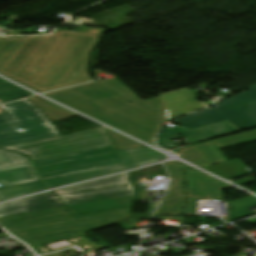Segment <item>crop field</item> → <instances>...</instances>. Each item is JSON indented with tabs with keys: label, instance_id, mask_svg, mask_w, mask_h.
I'll return each mask as SVG.
<instances>
[{
	"label": "crop field",
	"instance_id": "4a817a6b",
	"mask_svg": "<svg viewBox=\"0 0 256 256\" xmlns=\"http://www.w3.org/2000/svg\"><path fill=\"white\" fill-rule=\"evenodd\" d=\"M135 195L127 196L122 198L110 199L105 201L93 202L88 204L70 206L69 209L73 213L82 214L94 211H101V210H109V209H117V208H125L129 207L132 204V201L135 200Z\"/></svg>",
	"mask_w": 256,
	"mask_h": 256
},
{
	"label": "crop field",
	"instance_id": "bc2a9ffb",
	"mask_svg": "<svg viewBox=\"0 0 256 256\" xmlns=\"http://www.w3.org/2000/svg\"><path fill=\"white\" fill-rule=\"evenodd\" d=\"M205 169L227 180L250 175V172L246 165L239 160L222 163Z\"/></svg>",
	"mask_w": 256,
	"mask_h": 256
},
{
	"label": "crop field",
	"instance_id": "d1516ede",
	"mask_svg": "<svg viewBox=\"0 0 256 256\" xmlns=\"http://www.w3.org/2000/svg\"><path fill=\"white\" fill-rule=\"evenodd\" d=\"M168 168L172 183L155 215H180L185 205V185L183 170L190 168L179 162L165 164Z\"/></svg>",
	"mask_w": 256,
	"mask_h": 256
},
{
	"label": "crop field",
	"instance_id": "28ad6ade",
	"mask_svg": "<svg viewBox=\"0 0 256 256\" xmlns=\"http://www.w3.org/2000/svg\"><path fill=\"white\" fill-rule=\"evenodd\" d=\"M240 131L237 127L233 126L229 122H221L218 124L210 125L200 129L189 131L181 126L171 130L167 127L163 128L157 138V145L166 148L174 149L177 146L171 141L172 139L179 138L181 134L186 136L191 143L231 134Z\"/></svg>",
	"mask_w": 256,
	"mask_h": 256
},
{
	"label": "crop field",
	"instance_id": "92a150f3",
	"mask_svg": "<svg viewBox=\"0 0 256 256\" xmlns=\"http://www.w3.org/2000/svg\"><path fill=\"white\" fill-rule=\"evenodd\" d=\"M34 104H36L42 111H44L50 121L67 119L74 116H77L59 106H56L44 99H41L37 96L28 98Z\"/></svg>",
	"mask_w": 256,
	"mask_h": 256
},
{
	"label": "crop field",
	"instance_id": "412701ff",
	"mask_svg": "<svg viewBox=\"0 0 256 256\" xmlns=\"http://www.w3.org/2000/svg\"><path fill=\"white\" fill-rule=\"evenodd\" d=\"M249 91L218 103V108L203 110L172 122L190 130L221 121H229L240 129L256 127V85Z\"/></svg>",
	"mask_w": 256,
	"mask_h": 256
},
{
	"label": "crop field",
	"instance_id": "00972430",
	"mask_svg": "<svg viewBox=\"0 0 256 256\" xmlns=\"http://www.w3.org/2000/svg\"><path fill=\"white\" fill-rule=\"evenodd\" d=\"M106 132L108 133L113 146L116 150H120V149H127V148H135V147H142L143 145L129 139L126 138L122 135H119L117 133H114L108 129H105Z\"/></svg>",
	"mask_w": 256,
	"mask_h": 256
},
{
	"label": "crop field",
	"instance_id": "8a807250",
	"mask_svg": "<svg viewBox=\"0 0 256 256\" xmlns=\"http://www.w3.org/2000/svg\"><path fill=\"white\" fill-rule=\"evenodd\" d=\"M100 35L55 31L49 36L0 38V73L43 93L91 81L90 53ZM47 53L45 77L34 75Z\"/></svg>",
	"mask_w": 256,
	"mask_h": 256
},
{
	"label": "crop field",
	"instance_id": "4177f3b9",
	"mask_svg": "<svg viewBox=\"0 0 256 256\" xmlns=\"http://www.w3.org/2000/svg\"><path fill=\"white\" fill-rule=\"evenodd\" d=\"M150 216H145V215H134V214H131L129 217L125 218V219H120V220H117V221H114V222H111V223H108V224H105V225H102V226H98V227H95V228H92V229H89V230H94V229H98V228H101V227H105L109 224H114V223H119L123 220H133V219H149Z\"/></svg>",
	"mask_w": 256,
	"mask_h": 256
},
{
	"label": "crop field",
	"instance_id": "dd49c442",
	"mask_svg": "<svg viewBox=\"0 0 256 256\" xmlns=\"http://www.w3.org/2000/svg\"><path fill=\"white\" fill-rule=\"evenodd\" d=\"M110 144L104 129L98 128L70 136H60L7 147L6 149L26 154L31 157L32 161H35Z\"/></svg>",
	"mask_w": 256,
	"mask_h": 256
},
{
	"label": "crop field",
	"instance_id": "214f88e0",
	"mask_svg": "<svg viewBox=\"0 0 256 256\" xmlns=\"http://www.w3.org/2000/svg\"><path fill=\"white\" fill-rule=\"evenodd\" d=\"M129 183H131L130 176H129V174H127V175H122V176H118V177H113V178H109V179H105V180H100V181H96V182H91V183L63 189L60 191H56V193L58 195H62V194L73 193L76 191H83V190H87V189H97V188H101V187H105V186H121V185L129 184Z\"/></svg>",
	"mask_w": 256,
	"mask_h": 256
},
{
	"label": "crop field",
	"instance_id": "dafd665d",
	"mask_svg": "<svg viewBox=\"0 0 256 256\" xmlns=\"http://www.w3.org/2000/svg\"><path fill=\"white\" fill-rule=\"evenodd\" d=\"M32 94L0 79V100L3 102L10 101Z\"/></svg>",
	"mask_w": 256,
	"mask_h": 256
},
{
	"label": "crop field",
	"instance_id": "e52e79f7",
	"mask_svg": "<svg viewBox=\"0 0 256 256\" xmlns=\"http://www.w3.org/2000/svg\"><path fill=\"white\" fill-rule=\"evenodd\" d=\"M118 152L126 161L127 166L110 168L106 170L89 172V173L69 175L64 177H58V178H54L46 181L21 184V185L10 186V187H2L0 188V201L13 198L16 196L24 195L36 190H40V189H44V188H48L56 185L66 184L70 182L80 181V180L108 174L111 172L127 169L130 167H134L142 164L152 163L154 161L162 160L166 158V156L158 152H155L147 147L120 150Z\"/></svg>",
	"mask_w": 256,
	"mask_h": 256
},
{
	"label": "crop field",
	"instance_id": "f4fd0767",
	"mask_svg": "<svg viewBox=\"0 0 256 256\" xmlns=\"http://www.w3.org/2000/svg\"><path fill=\"white\" fill-rule=\"evenodd\" d=\"M45 179L126 165L112 145L33 162Z\"/></svg>",
	"mask_w": 256,
	"mask_h": 256
},
{
	"label": "crop field",
	"instance_id": "cbeb9de0",
	"mask_svg": "<svg viewBox=\"0 0 256 256\" xmlns=\"http://www.w3.org/2000/svg\"><path fill=\"white\" fill-rule=\"evenodd\" d=\"M187 89L162 95L168 112V120L204 108V106L197 103L194 93Z\"/></svg>",
	"mask_w": 256,
	"mask_h": 256
},
{
	"label": "crop field",
	"instance_id": "ae1a2a85",
	"mask_svg": "<svg viewBox=\"0 0 256 256\" xmlns=\"http://www.w3.org/2000/svg\"><path fill=\"white\" fill-rule=\"evenodd\" d=\"M21 33H22V31H12V30L9 31L10 35H14V34L21 35Z\"/></svg>",
	"mask_w": 256,
	"mask_h": 256
},
{
	"label": "crop field",
	"instance_id": "5a996713",
	"mask_svg": "<svg viewBox=\"0 0 256 256\" xmlns=\"http://www.w3.org/2000/svg\"><path fill=\"white\" fill-rule=\"evenodd\" d=\"M254 141H256V130L219 139L212 142H214L219 149H222ZM212 142L204 143L189 148L179 149L173 152L179 154L180 158L188 162H191L195 165H198L202 168L208 167L215 163L226 162L225 158L222 156V154L219 152V150Z\"/></svg>",
	"mask_w": 256,
	"mask_h": 256
},
{
	"label": "crop field",
	"instance_id": "730fd06b",
	"mask_svg": "<svg viewBox=\"0 0 256 256\" xmlns=\"http://www.w3.org/2000/svg\"><path fill=\"white\" fill-rule=\"evenodd\" d=\"M45 54H42V57L40 58V60L38 61L39 63L43 64L40 68H38L34 74H38V75H45L46 73V68H47V63L43 62V58H44Z\"/></svg>",
	"mask_w": 256,
	"mask_h": 256
},
{
	"label": "crop field",
	"instance_id": "ac0d7876",
	"mask_svg": "<svg viewBox=\"0 0 256 256\" xmlns=\"http://www.w3.org/2000/svg\"><path fill=\"white\" fill-rule=\"evenodd\" d=\"M46 96L151 144L165 122L159 97L142 101L117 78L59 90Z\"/></svg>",
	"mask_w": 256,
	"mask_h": 256
},
{
	"label": "crop field",
	"instance_id": "a9b5d70f",
	"mask_svg": "<svg viewBox=\"0 0 256 256\" xmlns=\"http://www.w3.org/2000/svg\"><path fill=\"white\" fill-rule=\"evenodd\" d=\"M29 159L18 153L0 150V167L28 162Z\"/></svg>",
	"mask_w": 256,
	"mask_h": 256
},
{
	"label": "crop field",
	"instance_id": "34b2d1b8",
	"mask_svg": "<svg viewBox=\"0 0 256 256\" xmlns=\"http://www.w3.org/2000/svg\"><path fill=\"white\" fill-rule=\"evenodd\" d=\"M130 215V208L72 217L66 207L0 218L8 231L30 245L86 233V229Z\"/></svg>",
	"mask_w": 256,
	"mask_h": 256
},
{
	"label": "crop field",
	"instance_id": "d8731c3e",
	"mask_svg": "<svg viewBox=\"0 0 256 256\" xmlns=\"http://www.w3.org/2000/svg\"><path fill=\"white\" fill-rule=\"evenodd\" d=\"M6 113L0 114V137L52 125L36 105L26 98L0 104ZM22 131V132H23Z\"/></svg>",
	"mask_w": 256,
	"mask_h": 256
},
{
	"label": "crop field",
	"instance_id": "3316defc",
	"mask_svg": "<svg viewBox=\"0 0 256 256\" xmlns=\"http://www.w3.org/2000/svg\"><path fill=\"white\" fill-rule=\"evenodd\" d=\"M188 200L182 215L195 216L196 197L224 201L221 190L231 186L194 169L186 171Z\"/></svg>",
	"mask_w": 256,
	"mask_h": 256
},
{
	"label": "crop field",
	"instance_id": "5142ce71",
	"mask_svg": "<svg viewBox=\"0 0 256 256\" xmlns=\"http://www.w3.org/2000/svg\"><path fill=\"white\" fill-rule=\"evenodd\" d=\"M135 194L132 185L60 196L67 206Z\"/></svg>",
	"mask_w": 256,
	"mask_h": 256
},
{
	"label": "crop field",
	"instance_id": "eef30255",
	"mask_svg": "<svg viewBox=\"0 0 256 256\" xmlns=\"http://www.w3.org/2000/svg\"><path fill=\"white\" fill-rule=\"evenodd\" d=\"M233 182L238 184V185H240V186H242V185H245V184H248V183L255 182V179L253 178V176H251V177L235 180Z\"/></svg>",
	"mask_w": 256,
	"mask_h": 256
},
{
	"label": "crop field",
	"instance_id": "22f410ed",
	"mask_svg": "<svg viewBox=\"0 0 256 256\" xmlns=\"http://www.w3.org/2000/svg\"><path fill=\"white\" fill-rule=\"evenodd\" d=\"M63 206L64 205L60 202V200L53 194V192H51L0 205V217L20 214L24 211L29 213Z\"/></svg>",
	"mask_w": 256,
	"mask_h": 256
},
{
	"label": "crop field",
	"instance_id": "733c2abd",
	"mask_svg": "<svg viewBox=\"0 0 256 256\" xmlns=\"http://www.w3.org/2000/svg\"><path fill=\"white\" fill-rule=\"evenodd\" d=\"M39 180L30 162L0 168V183L5 185Z\"/></svg>",
	"mask_w": 256,
	"mask_h": 256
},
{
	"label": "crop field",
	"instance_id": "d9b57169",
	"mask_svg": "<svg viewBox=\"0 0 256 256\" xmlns=\"http://www.w3.org/2000/svg\"><path fill=\"white\" fill-rule=\"evenodd\" d=\"M61 133L56 128L55 125L31 130L19 134H14L6 137L0 138V147H7L12 145H17L21 143L46 139L50 137L60 136Z\"/></svg>",
	"mask_w": 256,
	"mask_h": 256
}]
</instances>
